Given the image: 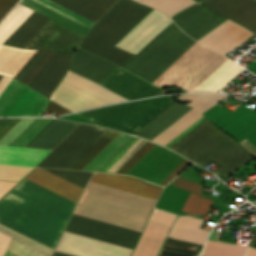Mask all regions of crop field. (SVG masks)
<instances>
[{"instance_id": "29", "label": "crop field", "mask_w": 256, "mask_h": 256, "mask_svg": "<svg viewBox=\"0 0 256 256\" xmlns=\"http://www.w3.org/2000/svg\"><path fill=\"white\" fill-rule=\"evenodd\" d=\"M219 232L212 230L201 256H243L246 248L233 243L217 241Z\"/></svg>"}, {"instance_id": "43", "label": "crop field", "mask_w": 256, "mask_h": 256, "mask_svg": "<svg viewBox=\"0 0 256 256\" xmlns=\"http://www.w3.org/2000/svg\"><path fill=\"white\" fill-rule=\"evenodd\" d=\"M36 118H22L1 139L0 144L9 145L22 131H24Z\"/></svg>"}, {"instance_id": "14", "label": "crop field", "mask_w": 256, "mask_h": 256, "mask_svg": "<svg viewBox=\"0 0 256 256\" xmlns=\"http://www.w3.org/2000/svg\"><path fill=\"white\" fill-rule=\"evenodd\" d=\"M100 85L128 100L157 95L161 91L119 67Z\"/></svg>"}, {"instance_id": "38", "label": "crop field", "mask_w": 256, "mask_h": 256, "mask_svg": "<svg viewBox=\"0 0 256 256\" xmlns=\"http://www.w3.org/2000/svg\"><path fill=\"white\" fill-rule=\"evenodd\" d=\"M211 203L212 200H209L191 192L182 209V212L191 215L206 214Z\"/></svg>"}, {"instance_id": "34", "label": "crop field", "mask_w": 256, "mask_h": 256, "mask_svg": "<svg viewBox=\"0 0 256 256\" xmlns=\"http://www.w3.org/2000/svg\"><path fill=\"white\" fill-rule=\"evenodd\" d=\"M107 129L95 127L55 168L67 169Z\"/></svg>"}, {"instance_id": "47", "label": "crop field", "mask_w": 256, "mask_h": 256, "mask_svg": "<svg viewBox=\"0 0 256 256\" xmlns=\"http://www.w3.org/2000/svg\"><path fill=\"white\" fill-rule=\"evenodd\" d=\"M175 217L176 216L154 209L149 220L171 227Z\"/></svg>"}, {"instance_id": "45", "label": "crop field", "mask_w": 256, "mask_h": 256, "mask_svg": "<svg viewBox=\"0 0 256 256\" xmlns=\"http://www.w3.org/2000/svg\"><path fill=\"white\" fill-rule=\"evenodd\" d=\"M36 1H38V2L56 10V11L64 14V15L70 17V18H72V19H74V20H76V21H78V22H80V23H82V24H84L88 27H91L94 24V23H92V22H90V21H88V20H86V19H84V18H82V17L64 9V8H62L61 6L51 2L49 0H36Z\"/></svg>"}, {"instance_id": "19", "label": "crop field", "mask_w": 256, "mask_h": 256, "mask_svg": "<svg viewBox=\"0 0 256 256\" xmlns=\"http://www.w3.org/2000/svg\"><path fill=\"white\" fill-rule=\"evenodd\" d=\"M26 178L74 201L77 202L82 188L67 182L41 168H35Z\"/></svg>"}, {"instance_id": "31", "label": "crop field", "mask_w": 256, "mask_h": 256, "mask_svg": "<svg viewBox=\"0 0 256 256\" xmlns=\"http://www.w3.org/2000/svg\"><path fill=\"white\" fill-rule=\"evenodd\" d=\"M119 132L108 129L88 150H86L68 169L82 170L100 151H102Z\"/></svg>"}, {"instance_id": "9", "label": "crop field", "mask_w": 256, "mask_h": 256, "mask_svg": "<svg viewBox=\"0 0 256 256\" xmlns=\"http://www.w3.org/2000/svg\"><path fill=\"white\" fill-rule=\"evenodd\" d=\"M65 230L132 249L140 235V232L74 214L72 215Z\"/></svg>"}, {"instance_id": "51", "label": "crop field", "mask_w": 256, "mask_h": 256, "mask_svg": "<svg viewBox=\"0 0 256 256\" xmlns=\"http://www.w3.org/2000/svg\"><path fill=\"white\" fill-rule=\"evenodd\" d=\"M46 110L55 112L56 115L70 112L66 108L56 104L55 102H53L51 100H50L49 104L47 105Z\"/></svg>"}, {"instance_id": "48", "label": "crop field", "mask_w": 256, "mask_h": 256, "mask_svg": "<svg viewBox=\"0 0 256 256\" xmlns=\"http://www.w3.org/2000/svg\"><path fill=\"white\" fill-rule=\"evenodd\" d=\"M170 185L180 187V188H183V189H186V190H189V191H192V192H195V193L201 195V193H200L201 187H202L201 185L187 181L178 176L170 183Z\"/></svg>"}, {"instance_id": "5", "label": "crop field", "mask_w": 256, "mask_h": 256, "mask_svg": "<svg viewBox=\"0 0 256 256\" xmlns=\"http://www.w3.org/2000/svg\"><path fill=\"white\" fill-rule=\"evenodd\" d=\"M174 101L172 96L137 100L78 113L97 125L133 134Z\"/></svg>"}, {"instance_id": "33", "label": "crop field", "mask_w": 256, "mask_h": 256, "mask_svg": "<svg viewBox=\"0 0 256 256\" xmlns=\"http://www.w3.org/2000/svg\"><path fill=\"white\" fill-rule=\"evenodd\" d=\"M20 4L27 6L33 10H36V11H38V12L64 24V25L84 34V35L86 34V32L88 30V27H86V26H84V25H82V24L34 1V0H22L20 2Z\"/></svg>"}, {"instance_id": "52", "label": "crop field", "mask_w": 256, "mask_h": 256, "mask_svg": "<svg viewBox=\"0 0 256 256\" xmlns=\"http://www.w3.org/2000/svg\"><path fill=\"white\" fill-rule=\"evenodd\" d=\"M239 144L250 153L256 160V147L250 143L246 138L239 142Z\"/></svg>"}, {"instance_id": "26", "label": "crop field", "mask_w": 256, "mask_h": 256, "mask_svg": "<svg viewBox=\"0 0 256 256\" xmlns=\"http://www.w3.org/2000/svg\"><path fill=\"white\" fill-rule=\"evenodd\" d=\"M202 220L191 217L176 218L169 238L201 244L207 230L199 228Z\"/></svg>"}, {"instance_id": "22", "label": "crop field", "mask_w": 256, "mask_h": 256, "mask_svg": "<svg viewBox=\"0 0 256 256\" xmlns=\"http://www.w3.org/2000/svg\"><path fill=\"white\" fill-rule=\"evenodd\" d=\"M94 127L80 124L37 166L54 168Z\"/></svg>"}, {"instance_id": "18", "label": "crop field", "mask_w": 256, "mask_h": 256, "mask_svg": "<svg viewBox=\"0 0 256 256\" xmlns=\"http://www.w3.org/2000/svg\"><path fill=\"white\" fill-rule=\"evenodd\" d=\"M116 68L117 66L78 48L69 69L99 84Z\"/></svg>"}, {"instance_id": "54", "label": "crop field", "mask_w": 256, "mask_h": 256, "mask_svg": "<svg viewBox=\"0 0 256 256\" xmlns=\"http://www.w3.org/2000/svg\"><path fill=\"white\" fill-rule=\"evenodd\" d=\"M52 256H69V255H65V254H61L58 252H54Z\"/></svg>"}, {"instance_id": "35", "label": "crop field", "mask_w": 256, "mask_h": 256, "mask_svg": "<svg viewBox=\"0 0 256 256\" xmlns=\"http://www.w3.org/2000/svg\"><path fill=\"white\" fill-rule=\"evenodd\" d=\"M224 97L225 95L222 94L191 93L180 95L176 99L182 102L193 100L187 104L195 107L202 113L214 104H216L217 102L221 101Z\"/></svg>"}, {"instance_id": "17", "label": "crop field", "mask_w": 256, "mask_h": 256, "mask_svg": "<svg viewBox=\"0 0 256 256\" xmlns=\"http://www.w3.org/2000/svg\"><path fill=\"white\" fill-rule=\"evenodd\" d=\"M203 3L251 31L256 30V0H206Z\"/></svg>"}, {"instance_id": "16", "label": "crop field", "mask_w": 256, "mask_h": 256, "mask_svg": "<svg viewBox=\"0 0 256 256\" xmlns=\"http://www.w3.org/2000/svg\"><path fill=\"white\" fill-rule=\"evenodd\" d=\"M252 35L254 34L251 31L228 19L201 38L199 42L225 55Z\"/></svg>"}, {"instance_id": "39", "label": "crop field", "mask_w": 256, "mask_h": 256, "mask_svg": "<svg viewBox=\"0 0 256 256\" xmlns=\"http://www.w3.org/2000/svg\"><path fill=\"white\" fill-rule=\"evenodd\" d=\"M43 169L61 177V178H64L82 188L85 187L90 176L93 174V173H88V172L67 171V170H60V169H48V168H43Z\"/></svg>"}, {"instance_id": "7", "label": "crop field", "mask_w": 256, "mask_h": 256, "mask_svg": "<svg viewBox=\"0 0 256 256\" xmlns=\"http://www.w3.org/2000/svg\"><path fill=\"white\" fill-rule=\"evenodd\" d=\"M99 85L68 71L52 100L73 111L126 100Z\"/></svg>"}, {"instance_id": "3", "label": "crop field", "mask_w": 256, "mask_h": 256, "mask_svg": "<svg viewBox=\"0 0 256 256\" xmlns=\"http://www.w3.org/2000/svg\"><path fill=\"white\" fill-rule=\"evenodd\" d=\"M151 10L133 0H118L91 28L79 47L122 67L134 55L113 46Z\"/></svg>"}, {"instance_id": "41", "label": "crop field", "mask_w": 256, "mask_h": 256, "mask_svg": "<svg viewBox=\"0 0 256 256\" xmlns=\"http://www.w3.org/2000/svg\"><path fill=\"white\" fill-rule=\"evenodd\" d=\"M33 168L0 165V179L19 181Z\"/></svg>"}, {"instance_id": "23", "label": "crop field", "mask_w": 256, "mask_h": 256, "mask_svg": "<svg viewBox=\"0 0 256 256\" xmlns=\"http://www.w3.org/2000/svg\"><path fill=\"white\" fill-rule=\"evenodd\" d=\"M64 8L92 21L98 19L116 0H51Z\"/></svg>"}, {"instance_id": "10", "label": "crop field", "mask_w": 256, "mask_h": 256, "mask_svg": "<svg viewBox=\"0 0 256 256\" xmlns=\"http://www.w3.org/2000/svg\"><path fill=\"white\" fill-rule=\"evenodd\" d=\"M57 251L76 256H130L132 249L64 231Z\"/></svg>"}, {"instance_id": "50", "label": "crop field", "mask_w": 256, "mask_h": 256, "mask_svg": "<svg viewBox=\"0 0 256 256\" xmlns=\"http://www.w3.org/2000/svg\"><path fill=\"white\" fill-rule=\"evenodd\" d=\"M18 0H0V20Z\"/></svg>"}, {"instance_id": "4", "label": "crop field", "mask_w": 256, "mask_h": 256, "mask_svg": "<svg viewBox=\"0 0 256 256\" xmlns=\"http://www.w3.org/2000/svg\"><path fill=\"white\" fill-rule=\"evenodd\" d=\"M195 42L172 22L122 68L152 83Z\"/></svg>"}, {"instance_id": "2", "label": "crop field", "mask_w": 256, "mask_h": 256, "mask_svg": "<svg viewBox=\"0 0 256 256\" xmlns=\"http://www.w3.org/2000/svg\"><path fill=\"white\" fill-rule=\"evenodd\" d=\"M75 205L24 178L0 200V224L53 249Z\"/></svg>"}, {"instance_id": "11", "label": "crop field", "mask_w": 256, "mask_h": 256, "mask_svg": "<svg viewBox=\"0 0 256 256\" xmlns=\"http://www.w3.org/2000/svg\"><path fill=\"white\" fill-rule=\"evenodd\" d=\"M83 35L49 20L24 48L74 51Z\"/></svg>"}, {"instance_id": "28", "label": "crop field", "mask_w": 256, "mask_h": 256, "mask_svg": "<svg viewBox=\"0 0 256 256\" xmlns=\"http://www.w3.org/2000/svg\"><path fill=\"white\" fill-rule=\"evenodd\" d=\"M133 136L120 133L102 152H100L83 170L98 172L115 154H117Z\"/></svg>"}, {"instance_id": "1", "label": "crop field", "mask_w": 256, "mask_h": 256, "mask_svg": "<svg viewBox=\"0 0 256 256\" xmlns=\"http://www.w3.org/2000/svg\"><path fill=\"white\" fill-rule=\"evenodd\" d=\"M91 181L155 201L162 189L133 176L95 173ZM91 181L73 213L141 232L155 201Z\"/></svg>"}, {"instance_id": "32", "label": "crop field", "mask_w": 256, "mask_h": 256, "mask_svg": "<svg viewBox=\"0 0 256 256\" xmlns=\"http://www.w3.org/2000/svg\"><path fill=\"white\" fill-rule=\"evenodd\" d=\"M53 53V51L37 50L29 61L22 67V69L16 74L14 79L27 85V83L33 78V76L39 71V69L45 64Z\"/></svg>"}, {"instance_id": "42", "label": "crop field", "mask_w": 256, "mask_h": 256, "mask_svg": "<svg viewBox=\"0 0 256 256\" xmlns=\"http://www.w3.org/2000/svg\"><path fill=\"white\" fill-rule=\"evenodd\" d=\"M5 256H47V255L13 239Z\"/></svg>"}, {"instance_id": "36", "label": "crop field", "mask_w": 256, "mask_h": 256, "mask_svg": "<svg viewBox=\"0 0 256 256\" xmlns=\"http://www.w3.org/2000/svg\"><path fill=\"white\" fill-rule=\"evenodd\" d=\"M141 3L153 7L170 17L195 3L194 0H142Z\"/></svg>"}, {"instance_id": "8", "label": "crop field", "mask_w": 256, "mask_h": 256, "mask_svg": "<svg viewBox=\"0 0 256 256\" xmlns=\"http://www.w3.org/2000/svg\"><path fill=\"white\" fill-rule=\"evenodd\" d=\"M27 87L10 80L0 94V116L40 115L49 99Z\"/></svg>"}, {"instance_id": "49", "label": "crop field", "mask_w": 256, "mask_h": 256, "mask_svg": "<svg viewBox=\"0 0 256 256\" xmlns=\"http://www.w3.org/2000/svg\"><path fill=\"white\" fill-rule=\"evenodd\" d=\"M189 163L192 162L184 159L160 184L165 185L168 183L181 169H183Z\"/></svg>"}, {"instance_id": "21", "label": "crop field", "mask_w": 256, "mask_h": 256, "mask_svg": "<svg viewBox=\"0 0 256 256\" xmlns=\"http://www.w3.org/2000/svg\"><path fill=\"white\" fill-rule=\"evenodd\" d=\"M50 151L0 145V164L35 167Z\"/></svg>"}, {"instance_id": "56", "label": "crop field", "mask_w": 256, "mask_h": 256, "mask_svg": "<svg viewBox=\"0 0 256 256\" xmlns=\"http://www.w3.org/2000/svg\"><path fill=\"white\" fill-rule=\"evenodd\" d=\"M2 75H0V79H1Z\"/></svg>"}, {"instance_id": "30", "label": "crop field", "mask_w": 256, "mask_h": 256, "mask_svg": "<svg viewBox=\"0 0 256 256\" xmlns=\"http://www.w3.org/2000/svg\"><path fill=\"white\" fill-rule=\"evenodd\" d=\"M202 116L199 111L193 108L152 141L164 146Z\"/></svg>"}, {"instance_id": "12", "label": "crop field", "mask_w": 256, "mask_h": 256, "mask_svg": "<svg viewBox=\"0 0 256 256\" xmlns=\"http://www.w3.org/2000/svg\"><path fill=\"white\" fill-rule=\"evenodd\" d=\"M172 19L184 32L198 40L226 18L200 2L172 16Z\"/></svg>"}, {"instance_id": "25", "label": "crop field", "mask_w": 256, "mask_h": 256, "mask_svg": "<svg viewBox=\"0 0 256 256\" xmlns=\"http://www.w3.org/2000/svg\"><path fill=\"white\" fill-rule=\"evenodd\" d=\"M78 124L54 119L26 147L52 149Z\"/></svg>"}, {"instance_id": "13", "label": "crop field", "mask_w": 256, "mask_h": 256, "mask_svg": "<svg viewBox=\"0 0 256 256\" xmlns=\"http://www.w3.org/2000/svg\"><path fill=\"white\" fill-rule=\"evenodd\" d=\"M167 16L152 10L115 46L136 55L161 30L172 21Z\"/></svg>"}, {"instance_id": "53", "label": "crop field", "mask_w": 256, "mask_h": 256, "mask_svg": "<svg viewBox=\"0 0 256 256\" xmlns=\"http://www.w3.org/2000/svg\"><path fill=\"white\" fill-rule=\"evenodd\" d=\"M246 256H256V249L250 247Z\"/></svg>"}, {"instance_id": "44", "label": "crop field", "mask_w": 256, "mask_h": 256, "mask_svg": "<svg viewBox=\"0 0 256 256\" xmlns=\"http://www.w3.org/2000/svg\"><path fill=\"white\" fill-rule=\"evenodd\" d=\"M0 231L4 232V233L20 240V241H22V242H24V243H26L30 246H33V247H35V248H37V249H39V250H41V251H43V252H45L49 255L52 254V251H53L52 249H50V248L32 240V239H29V238H27V237L15 232V231L9 229L7 227H4V226L0 225Z\"/></svg>"}, {"instance_id": "27", "label": "crop field", "mask_w": 256, "mask_h": 256, "mask_svg": "<svg viewBox=\"0 0 256 256\" xmlns=\"http://www.w3.org/2000/svg\"><path fill=\"white\" fill-rule=\"evenodd\" d=\"M48 20L34 11L3 44L23 48Z\"/></svg>"}, {"instance_id": "40", "label": "crop field", "mask_w": 256, "mask_h": 256, "mask_svg": "<svg viewBox=\"0 0 256 256\" xmlns=\"http://www.w3.org/2000/svg\"><path fill=\"white\" fill-rule=\"evenodd\" d=\"M214 127L215 126L208 121L203 126H201L198 130H196L193 134H191L189 137H187L184 141H182L179 145H177L175 148H173L172 150L181 154L189 146H191L193 143H195L198 139H200L202 136H204L207 132H209Z\"/></svg>"}, {"instance_id": "55", "label": "crop field", "mask_w": 256, "mask_h": 256, "mask_svg": "<svg viewBox=\"0 0 256 256\" xmlns=\"http://www.w3.org/2000/svg\"><path fill=\"white\" fill-rule=\"evenodd\" d=\"M136 1L140 2L141 0H136Z\"/></svg>"}, {"instance_id": "24", "label": "crop field", "mask_w": 256, "mask_h": 256, "mask_svg": "<svg viewBox=\"0 0 256 256\" xmlns=\"http://www.w3.org/2000/svg\"><path fill=\"white\" fill-rule=\"evenodd\" d=\"M169 227L148 222L132 256H156Z\"/></svg>"}, {"instance_id": "46", "label": "crop field", "mask_w": 256, "mask_h": 256, "mask_svg": "<svg viewBox=\"0 0 256 256\" xmlns=\"http://www.w3.org/2000/svg\"><path fill=\"white\" fill-rule=\"evenodd\" d=\"M153 145L148 141L117 173L125 174Z\"/></svg>"}, {"instance_id": "15", "label": "crop field", "mask_w": 256, "mask_h": 256, "mask_svg": "<svg viewBox=\"0 0 256 256\" xmlns=\"http://www.w3.org/2000/svg\"><path fill=\"white\" fill-rule=\"evenodd\" d=\"M74 54L55 52L47 61L42 69L30 81L28 86L32 87L42 95L49 98V95L55 89L63 75L65 74L68 65Z\"/></svg>"}, {"instance_id": "57", "label": "crop field", "mask_w": 256, "mask_h": 256, "mask_svg": "<svg viewBox=\"0 0 256 256\" xmlns=\"http://www.w3.org/2000/svg\"><path fill=\"white\" fill-rule=\"evenodd\" d=\"M235 177H237V176H235ZM237 178H239V177H237ZM239 179H241V178H239Z\"/></svg>"}, {"instance_id": "6", "label": "crop field", "mask_w": 256, "mask_h": 256, "mask_svg": "<svg viewBox=\"0 0 256 256\" xmlns=\"http://www.w3.org/2000/svg\"><path fill=\"white\" fill-rule=\"evenodd\" d=\"M181 155L204 167L211 160L220 166L214 173L226 177L252 157L235 140L216 127Z\"/></svg>"}, {"instance_id": "37", "label": "crop field", "mask_w": 256, "mask_h": 256, "mask_svg": "<svg viewBox=\"0 0 256 256\" xmlns=\"http://www.w3.org/2000/svg\"><path fill=\"white\" fill-rule=\"evenodd\" d=\"M53 118H37L10 145L26 146L39 132H41Z\"/></svg>"}, {"instance_id": "20", "label": "crop field", "mask_w": 256, "mask_h": 256, "mask_svg": "<svg viewBox=\"0 0 256 256\" xmlns=\"http://www.w3.org/2000/svg\"><path fill=\"white\" fill-rule=\"evenodd\" d=\"M189 109H191V107L174 102L140 130L134 133V135L151 140Z\"/></svg>"}]
</instances>
